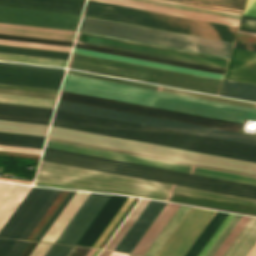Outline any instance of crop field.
Returning <instances> with one entry per match:
<instances>
[{"label":"crop field","mask_w":256,"mask_h":256,"mask_svg":"<svg viewBox=\"0 0 256 256\" xmlns=\"http://www.w3.org/2000/svg\"><path fill=\"white\" fill-rule=\"evenodd\" d=\"M68 68L216 95L219 94L222 82L74 53L71 55Z\"/></svg>","instance_id":"6"},{"label":"crop field","mask_w":256,"mask_h":256,"mask_svg":"<svg viewBox=\"0 0 256 256\" xmlns=\"http://www.w3.org/2000/svg\"><path fill=\"white\" fill-rule=\"evenodd\" d=\"M110 197L91 193L55 243L76 245Z\"/></svg>","instance_id":"15"},{"label":"crop field","mask_w":256,"mask_h":256,"mask_svg":"<svg viewBox=\"0 0 256 256\" xmlns=\"http://www.w3.org/2000/svg\"><path fill=\"white\" fill-rule=\"evenodd\" d=\"M0 60L66 67L68 61L0 54Z\"/></svg>","instance_id":"41"},{"label":"crop field","mask_w":256,"mask_h":256,"mask_svg":"<svg viewBox=\"0 0 256 256\" xmlns=\"http://www.w3.org/2000/svg\"><path fill=\"white\" fill-rule=\"evenodd\" d=\"M241 23L256 26V18H251V17L243 16Z\"/></svg>","instance_id":"63"},{"label":"crop field","mask_w":256,"mask_h":256,"mask_svg":"<svg viewBox=\"0 0 256 256\" xmlns=\"http://www.w3.org/2000/svg\"><path fill=\"white\" fill-rule=\"evenodd\" d=\"M53 189L32 187L0 231L1 238L17 239Z\"/></svg>","instance_id":"16"},{"label":"crop field","mask_w":256,"mask_h":256,"mask_svg":"<svg viewBox=\"0 0 256 256\" xmlns=\"http://www.w3.org/2000/svg\"><path fill=\"white\" fill-rule=\"evenodd\" d=\"M31 187L0 182V230Z\"/></svg>","instance_id":"23"},{"label":"crop field","mask_w":256,"mask_h":256,"mask_svg":"<svg viewBox=\"0 0 256 256\" xmlns=\"http://www.w3.org/2000/svg\"><path fill=\"white\" fill-rule=\"evenodd\" d=\"M41 160L256 199V186L249 184L47 148Z\"/></svg>","instance_id":"4"},{"label":"crop field","mask_w":256,"mask_h":256,"mask_svg":"<svg viewBox=\"0 0 256 256\" xmlns=\"http://www.w3.org/2000/svg\"><path fill=\"white\" fill-rule=\"evenodd\" d=\"M64 72L0 65V83L59 90Z\"/></svg>","instance_id":"14"},{"label":"crop field","mask_w":256,"mask_h":256,"mask_svg":"<svg viewBox=\"0 0 256 256\" xmlns=\"http://www.w3.org/2000/svg\"><path fill=\"white\" fill-rule=\"evenodd\" d=\"M85 0H0V6L81 15Z\"/></svg>","instance_id":"18"},{"label":"crop field","mask_w":256,"mask_h":256,"mask_svg":"<svg viewBox=\"0 0 256 256\" xmlns=\"http://www.w3.org/2000/svg\"><path fill=\"white\" fill-rule=\"evenodd\" d=\"M100 251H101V249H98V251L95 253L94 256H97Z\"/></svg>","instance_id":"71"},{"label":"crop field","mask_w":256,"mask_h":256,"mask_svg":"<svg viewBox=\"0 0 256 256\" xmlns=\"http://www.w3.org/2000/svg\"><path fill=\"white\" fill-rule=\"evenodd\" d=\"M250 217L242 216V218L239 220V222L236 224L234 229L231 231V233L228 235V237L225 239L223 244L220 246V248L217 250L214 256H222V254L225 252V250L228 248V246L231 244V242L234 240V238L237 236V234L240 232V230L243 228V226L246 224V222L249 220Z\"/></svg>","instance_id":"46"},{"label":"crop field","mask_w":256,"mask_h":256,"mask_svg":"<svg viewBox=\"0 0 256 256\" xmlns=\"http://www.w3.org/2000/svg\"><path fill=\"white\" fill-rule=\"evenodd\" d=\"M73 247L53 244L45 256H67Z\"/></svg>","instance_id":"53"},{"label":"crop field","mask_w":256,"mask_h":256,"mask_svg":"<svg viewBox=\"0 0 256 256\" xmlns=\"http://www.w3.org/2000/svg\"><path fill=\"white\" fill-rule=\"evenodd\" d=\"M49 126L0 120V131L45 136Z\"/></svg>","instance_id":"35"},{"label":"crop field","mask_w":256,"mask_h":256,"mask_svg":"<svg viewBox=\"0 0 256 256\" xmlns=\"http://www.w3.org/2000/svg\"><path fill=\"white\" fill-rule=\"evenodd\" d=\"M45 146L256 185V178L253 177L155 160L60 141L47 139Z\"/></svg>","instance_id":"11"},{"label":"crop field","mask_w":256,"mask_h":256,"mask_svg":"<svg viewBox=\"0 0 256 256\" xmlns=\"http://www.w3.org/2000/svg\"><path fill=\"white\" fill-rule=\"evenodd\" d=\"M0 39L72 47L73 42L0 34Z\"/></svg>","instance_id":"44"},{"label":"crop field","mask_w":256,"mask_h":256,"mask_svg":"<svg viewBox=\"0 0 256 256\" xmlns=\"http://www.w3.org/2000/svg\"><path fill=\"white\" fill-rule=\"evenodd\" d=\"M0 44L11 45V46L30 47V48H39V49H48V50H57V51H66V52H70L72 49V48H68V47L31 44V43H22V42H13V41H4V40H0Z\"/></svg>","instance_id":"48"},{"label":"crop field","mask_w":256,"mask_h":256,"mask_svg":"<svg viewBox=\"0 0 256 256\" xmlns=\"http://www.w3.org/2000/svg\"><path fill=\"white\" fill-rule=\"evenodd\" d=\"M96 1L123 5V6L133 7V8L144 9V10H150V11H155L160 13H166V14L193 18V19L209 21L214 23H220V24L236 26V27H238V24H239V21L237 20H231V19H226L221 17H215V16H210L205 14L173 9V8L156 6V5L140 3V2L130 1V0H96Z\"/></svg>","instance_id":"21"},{"label":"crop field","mask_w":256,"mask_h":256,"mask_svg":"<svg viewBox=\"0 0 256 256\" xmlns=\"http://www.w3.org/2000/svg\"><path fill=\"white\" fill-rule=\"evenodd\" d=\"M72 52L85 54V55H90V56L101 57V58H107V59H112V60H117V61H123V62H128V63H134V64H139V65H144V66H150V67H155V68H160V69H166V70H171V71H177V72H182V73H187V74L204 76V77H209V78H214V79H220V80H222L223 76H224L222 74L199 71V70H194V69L171 66V65H166V64L143 61V60H138V59L115 56V55L104 54V53L93 52V51H87V50L76 49V48H74Z\"/></svg>","instance_id":"25"},{"label":"crop field","mask_w":256,"mask_h":256,"mask_svg":"<svg viewBox=\"0 0 256 256\" xmlns=\"http://www.w3.org/2000/svg\"><path fill=\"white\" fill-rule=\"evenodd\" d=\"M225 77L256 83V52L234 48Z\"/></svg>","instance_id":"22"},{"label":"crop field","mask_w":256,"mask_h":256,"mask_svg":"<svg viewBox=\"0 0 256 256\" xmlns=\"http://www.w3.org/2000/svg\"><path fill=\"white\" fill-rule=\"evenodd\" d=\"M96 251H97V249L91 248V250L88 252V254L86 256H93Z\"/></svg>","instance_id":"68"},{"label":"crop field","mask_w":256,"mask_h":256,"mask_svg":"<svg viewBox=\"0 0 256 256\" xmlns=\"http://www.w3.org/2000/svg\"><path fill=\"white\" fill-rule=\"evenodd\" d=\"M110 256H128V254L127 253H121V252L112 251Z\"/></svg>","instance_id":"66"},{"label":"crop field","mask_w":256,"mask_h":256,"mask_svg":"<svg viewBox=\"0 0 256 256\" xmlns=\"http://www.w3.org/2000/svg\"><path fill=\"white\" fill-rule=\"evenodd\" d=\"M0 33L73 41L76 32L0 24Z\"/></svg>","instance_id":"28"},{"label":"crop field","mask_w":256,"mask_h":256,"mask_svg":"<svg viewBox=\"0 0 256 256\" xmlns=\"http://www.w3.org/2000/svg\"><path fill=\"white\" fill-rule=\"evenodd\" d=\"M79 30L227 57L230 56L233 45L231 43H225L85 16L82 17Z\"/></svg>","instance_id":"8"},{"label":"crop field","mask_w":256,"mask_h":256,"mask_svg":"<svg viewBox=\"0 0 256 256\" xmlns=\"http://www.w3.org/2000/svg\"><path fill=\"white\" fill-rule=\"evenodd\" d=\"M165 205V202L150 200L115 250L131 253Z\"/></svg>","instance_id":"17"},{"label":"crop field","mask_w":256,"mask_h":256,"mask_svg":"<svg viewBox=\"0 0 256 256\" xmlns=\"http://www.w3.org/2000/svg\"><path fill=\"white\" fill-rule=\"evenodd\" d=\"M76 41L223 69L226 68V64L228 61L226 59H220L210 56H204L194 53H188L178 50L145 45L81 32L78 33Z\"/></svg>","instance_id":"12"},{"label":"crop field","mask_w":256,"mask_h":256,"mask_svg":"<svg viewBox=\"0 0 256 256\" xmlns=\"http://www.w3.org/2000/svg\"><path fill=\"white\" fill-rule=\"evenodd\" d=\"M54 109L0 103V119L49 125Z\"/></svg>","instance_id":"19"},{"label":"crop field","mask_w":256,"mask_h":256,"mask_svg":"<svg viewBox=\"0 0 256 256\" xmlns=\"http://www.w3.org/2000/svg\"><path fill=\"white\" fill-rule=\"evenodd\" d=\"M61 192L62 190L54 189V191L51 193V195L48 197V199L45 201V203L42 205V207L39 209V211L21 233V235L18 237V239L26 240V238L29 236V234L32 232V230L35 228V226L38 224V222L41 220V218L44 216V214L47 212V210L50 208V206L53 204V202L56 200Z\"/></svg>","instance_id":"39"},{"label":"crop field","mask_w":256,"mask_h":256,"mask_svg":"<svg viewBox=\"0 0 256 256\" xmlns=\"http://www.w3.org/2000/svg\"><path fill=\"white\" fill-rule=\"evenodd\" d=\"M51 125L256 162V146L64 111H55Z\"/></svg>","instance_id":"2"},{"label":"crop field","mask_w":256,"mask_h":256,"mask_svg":"<svg viewBox=\"0 0 256 256\" xmlns=\"http://www.w3.org/2000/svg\"><path fill=\"white\" fill-rule=\"evenodd\" d=\"M135 1L146 2V3L162 5V6H167V7H173V8L183 9V10H189V11H194V12H199V13H205V14H210V15H215V16L231 18V19H237V20L240 19L239 15H233V14H228V13L216 12V11H211V10H205V9L194 8V7H188V6L177 5V4L166 3V2H160V1H155V0H135Z\"/></svg>","instance_id":"42"},{"label":"crop field","mask_w":256,"mask_h":256,"mask_svg":"<svg viewBox=\"0 0 256 256\" xmlns=\"http://www.w3.org/2000/svg\"><path fill=\"white\" fill-rule=\"evenodd\" d=\"M0 64L24 66V67H33V68H42V69H51V70H60V71H64L65 70V69H61V68H53V67H45V66H35V65H25V64H16V63H6V62H0Z\"/></svg>","instance_id":"61"},{"label":"crop field","mask_w":256,"mask_h":256,"mask_svg":"<svg viewBox=\"0 0 256 256\" xmlns=\"http://www.w3.org/2000/svg\"><path fill=\"white\" fill-rule=\"evenodd\" d=\"M25 244V241L16 240V242L13 244V246L10 248L5 256H17V254L20 252Z\"/></svg>","instance_id":"57"},{"label":"crop field","mask_w":256,"mask_h":256,"mask_svg":"<svg viewBox=\"0 0 256 256\" xmlns=\"http://www.w3.org/2000/svg\"><path fill=\"white\" fill-rule=\"evenodd\" d=\"M0 102L54 108L56 100L0 94Z\"/></svg>","instance_id":"37"},{"label":"crop field","mask_w":256,"mask_h":256,"mask_svg":"<svg viewBox=\"0 0 256 256\" xmlns=\"http://www.w3.org/2000/svg\"><path fill=\"white\" fill-rule=\"evenodd\" d=\"M159 91L180 94V95H185V96H191V97H196V98H202V99H207V100L219 101V102H224V103H230V104H235V105H240V106H245V107H250V108L256 109V104H254V103L230 100V99L214 97V96H209V95H204V94H199V93H194V92H189V91H184V90L163 87V86H161Z\"/></svg>","instance_id":"40"},{"label":"crop field","mask_w":256,"mask_h":256,"mask_svg":"<svg viewBox=\"0 0 256 256\" xmlns=\"http://www.w3.org/2000/svg\"><path fill=\"white\" fill-rule=\"evenodd\" d=\"M74 47L87 49V50H93V51H99V52H104V53H110V54H115V55L127 56V57H132V58H138V59H143V60L155 61V62H160V63H166V64H171V65L183 66V67H188V68H194V69H199V70L211 71V72H216V73H222V74H224V72H225V70H223V69H217V68H212V67H207V66H201V65L191 64V63H185V62H180V61H175V60H169V59H164V58H159V57L142 55V54H137V53H132V52H126V51H121V50H116V49H110V48L94 46V45H89V44H84V43H78V42L75 43Z\"/></svg>","instance_id":"26"},{"label":"crop field","mask_w":256,"mask_h":256,"mask_svg":"<svg viewBox=\"0 0 256 256\" xmlns=\"http://www.w3.org/2000/svg\"><path fill=\"white\" fill-rule=\"evenodd\" d=\"M161 1H167V0H161ZM167 2L178 3V2H173V1H167ZM178 4L189 5V4H184V3H178ZM189 6L200 7V6H195V5H189ZM200 8H206V7H200ZM206 9H211V8H206ZM211 10H217V9H211ZM217 11H222V10H217ZM222 12H228V11H222ZM228 13H233V12H228ZM233 14H239V13H233ZM239 15H241V14H239Z\"/></svg>","instance_id":"64"},{"label":"crop field","mask_w":256,"mask_h":256,"mask_svg":"<svg viewBox=\"0 0 256 256\" xmlns=\"http://www.w3.org/2000/svg\"><path fill=\"white\" fill-rule=\"evenodd\" d=\"M0 53L19 54V55H28V56H37V57H46V58H55V59H64V60H68L69 54H70L66 52L11 47V46H2V45H0Z\"/></svg>","instance_id":"34"},{"label":"crop field","mask_w":256,"mask_h":256,"mask_svg":"<svg viewBox=\"0 0 256 256\" xmlns=\"http://www.w3.org/2000/svg\"><path fill=\"white\" fill-rule=\"evenodd\" d=\"M179 207V204L167 203L132 253L144 255Z\"/></svg>","instance_id":"27"},{"label":"crop field","mask_w":256,"mask_h":256,"mask_svg":"<svg viewBox=\"0 0 256 256\" xmlns=\"http://www.w3.org/2000/svg\"><path fill=\"white\" fill-rule=\"evenodd\" d=\"M126 199L125 196L112 195L77 245L92 247Z\"/></svg>","instance_id":"20"},{"label":"crop field","mask_w":256,"mask_h":256,"mask_svg":"<svg viewBox=\"0 0 256 256\" xmlns=\"http://www.w3.org/2000/svg\"><path fill=\"white\" fill-rule=\"evenodd\" d=\"M66 74L79 76V77H85V78H91V79H96V80H102V81H107V82H113V83H118V84L130 85V86H135V87H141V88H146V89H152V90H157V91L159 90L158 86H152V85H147V84L119 80V79L103 77V76H98V75H92V74H87V73H81V72H76V71L68 70Z\"/></svg>","instance_id":"43"},{"label":"crop field","mask_w":256,"mask_h":256,"mask_svg":"<svg viewBox=\"0 0 256 256\" xmlns=\"http://www.w3.org/2000/svg\"><path fill=\"white\" fill-rule=\"evenodd\" d=\"M220 95L256 101V85L225 79Z\"/></svg>","instance_id":"30"},{"label":"crop field","mask_w":256,"mask_h":256,"mask_svg":"<svg viewBox=\"0 0 256 256\" xmlns=\"http://www.w3.org/2000/svg\"><path fill=\"white\" fill-rule=\"evenodd\" d=\"M52 244L38 243L29 256H44Z\"/></svg>","instance_id":"55"},{"label":"crop field","mask_w":256,"mask_h":256,"mask_svg":"<svg viewBox=\"0 0 256 256\" xmlns=\"http://www.w3.org/2000/svg\"><path fill=\"white\" fill-rule=\"evenodd\" d=\"M14 242L11 239H0V256H4Z\"/></svg>","instance_id":"58"},{"label":"crop field","mask_w":256,"mask_h":256,"mask_svg":"<svg viewBox=\"0 0 256 256\" xmlns=\"http://www.w3.org/2000/svg\"><path fill=\"white\" fill-rule=\"evenodd\" d=\"M44 138L41 136L0 132V144L2 145L42 149Z\"/></svg>","instance_id":"33"},{"label":"crop field","mask_w":256,"mask_h":256,"mask_svg":"<svg viewBox=\"0 0 256 256\" xmlns=\"http://www.w3.org/2000/svg\"><path fill=\"white\" fill-rule=\"evenodd\" d=\"M0 151L27 153V154H36V155H40V152H41V150H38V149H29V148H20V147H11V146H2V145H0Z\"/></svg>","instance_id":"54"},{"label":"crop field","mask_w":256,"mask_h":256,"mask_svg":"<svg viewBox=\"0 0 256 256\" xmlns=\"http://www.w3.org/2000/svg\"><path fill=\"white\" fill-rule=\"evenodd\" d=\"M247 256H256V244L254 245V247L251 249Z\"/></svg>","instance_id":"67"},{"label":"crop field","mask_w":256,"mask_h":256,"mask_svg":"<svg viewBox=\"0 0 256 256\" xmlns=\"http://www.w3.org/2000/svg\"><path fill=\"white\" fill-rule=\"evenodd\" d=\"M206 4L218 5L243 10L245 0H190Z\"/></svg>","instance_id":"50"},{"label":"crop field","mask_w":256,"mask_h":256,"mask_svg":"<svg viewBox=\"0 0 256 256\" xmlns=\"http://www.w3.org/2000/svg\"><path fill=\"white\" fill-rule=\"evenodd\" d=\"M89 195L90 193L88 192L77 191L62 210L60 215L57 217L52 226L49 228L47 233L41 239V241L54 243V241L57 239V237L60 235V233L63 231V229L66 227V225L69 223V221L72 219V217L75 215V213L78 211V209Z\"/></svg>","instance_id":"24"},{"label":"crop field","mask_w":256,"mask_h":256,"mask_svg":"<svg viewBox=\"0 0 256 256\" xmlns=\"http://www.w3.org/2000/svg\"><path fill=\"white\" fill-rule=\"evenodd\" d=\"M189 209V206L181 205V207L178 209V211L175 213V215L172 217V219L148 249V251L145 253L146 256H155L158 253V251L161 249L163 244L169 238L171 233L174 231L176 226L179 224Z\"/></svg>","instance_id":"32"},{"label":"crop field","mask_w":256,"mask_h":256,"mask_svg":"<svg viewBox=\"0 0 256 256\" xmlns=\"http://www.w3.org/2000/svg\"><path fill=\"white\" fill-rule=\"evenodd\" d=\"M77 192V191H76ZM75 193V191H70L69 194L66 196V198L63 200V202L60 204V206L57 208V210L54 212V214L50 217V219L47 221V223L44 225V227L41 229V231L38 233L36 238L34 240L40 241V239L43 237V235L46 233L48 228L51 226V224L54 222L56 217L59 215L61 210L64 208V206L67 204L69 199L72 197V195ZM74 196V195H73ZM71 200V199H70Z\"/></svg>","instance_id":"49"},{"label":"crop field","mask_w":256,"mask_h":256,"mask_svg":"<svg viewBox=\"0 0 256 256\" xmlns=\"http://www.w3.org/2000/svg\"><path fill=\"white\" fill-rule=\"evenodd\" d=\"M140 201V200H139ZM149 202V200L141 199V201L138 203V205L135 207V209L132 211V213L129 215V217L126 219L124 224L121 226V228L118 230V232L115 234V236L112 238V240L109 242V244L106 246L107 249H112L117 246V244L120 242L122 237L125 235V233L128 231L130 226L133 224L135 219L138 217V215L141 213L143 208L146 206V204Z\"/></svg>","instance_id":"38"},{"label":"crop field","mask_w":256,"mask_h":256,"mask_svg":"<svg viewBox=\"0 0 256 256\" xmlns=\"http://www.w3.org/2000/svg\"><path fill=\"white\" fill-rule=\"evenodd\" d=\"M35 185L169 200L256 216V200L41 161Z\"/></svg>","instance_id":"1"},{"label":"crop field","mask_w":256,"mask_h":256,"mask_svg":"<svg viewBox=\"0 0 256 256\" xmlns=\"http://www.w3.org/2000/svg\"><path fill=\"white\" fill-rule=\"evenodd\" d=\"M134 200L132 197H128V199L125 201V203L122 205L120 210L117 212V214L114 216L112 221L109 223L107 228L104 230V232L101 234L99 239L96 241V243L93 245V247H99V245L102 243V241L105 239V237L108 235V233L111 231V229L114 227L116 222L119 220V218L122 216V214L125 212V210L128 208V206L131 204V202Z\"/></svg>","instance_id":"47"},{"label":"crop field","mask_w":256,"mask_h":256,"mask_svg":"<svg viewBox=\"0 0 256 256\" xmlns=\"http://www.w3.org/2000/svg\"><path fill=\"white\" fill-rule=\"evenodd\" d=\"M236 48H241V49H247V50H252V51H256V45L255 44H249V43H244V42H235V46Z\"/></svg>","instance_id":"62"},{"label":"crop field","mask_w":256,"mask_h":256,"mask_svg":"<svg viewBox=\"0 0 256 256\" xmlns=\"http://www.w3.org/2000/svg\"><path fill=\"white\" fill-rule=\"evenodd\" d=\"M58 110H64L69 112H75L80 114H86L91 116H97L102 118H108L113 120H119L124 122H130L135 124H141L146 126L158 127L163 129H169L174 131H180L185 133H191L196 135H202L207 137H213L218 139H224L229 141H235L240 143H246L256 145V136L228 132L223 130L211 129L206 127H200L195 125H189L184 123H178L173 121L161 120L156 118H150L145 116H139L134 114L122 113L117 111H111L106 109H100L95 107H89L84 105L72 104L67 102H58Z\"/></svg>","instance_id":"9"},{"label":"crop field","mask_w":256,"mask_h":256,"mask_svg":"<svg viewBox=\"0 0 256 256\" xmlns=\"http://www.w3.org/2000/svg\"><path fill=\"white\" fill-rule=\"evenodd\" d=\"M111 253V251L103 250V252L100 254V256H108Z\"/></svg>","instance_id":"69"},{"label":"crop field","mask_w":256,"mask_h":256,"mask_svg":"<svg viewBox=\"0 0 256 256\" xmlns=\"http://www.w3.org/2000/svg\"><path fill=\"white\" fill-rule=\"evenodd\" d=\"M81 16L0 7V23L76 31Z\"/></svg>","instance_id":"13"},{"label":"crop field","mask_w":256,"mask_h":256,"mask_svg":"<svg viewBox=\"0 0 256 256\" xmlns=\"http://www.w3.org/2000/svg\"><path fill=\"white\" fill-rule=\"evenodd\" d=\"M83 15L231 42L238 29L90 0L87 1Z\"/></svg>","instance_id":"5"},{"label":"crop field","mask_w":256,"mask_h":256,"mask_svg":"<svg viewBox=\"0 0 256 256\" xmlns=\"http://www.w3.org/2000/svg\"><path fill=\"white\" fill-rule=\"evenodd\" d=\"M243 15L256 17V0H247Z\"/></svg>","instance_id":"56"},{"label":"crop field","mask_w":256,"mask_h":256,"mask_svg":"<svg viewBox=\"0 0 256 256\" xmlns=\"http://www.w3.org/2000/svg\"><path fill=\"white\" fill-rule=\"evenodd\" d=\"M36 245V242H27V244L24 246L18 256H28Z\"/></svg>","instance_id":"59"},{"label":"crop field","mask_w":256,"mask_h":256,"mask_svg":"<svg viewBox=\"0 0 256 256\" xmlns=\"http://www.w3.org/2000/svg\"><path fill=\"white\" fill-rule=\"evenodd\" d=\"M238 33H240V34H246V35L256 36V34H253V33H247V32H241V31H239Z\"/></svg>","instance_id":"70"},{"label":"crop field","mask_w":256,"mask_h":256,"mask_svg":"<svg viewBox=\"0 0 256 256\" xmlns=\"http://www.w3.org/2000/svg\"><path fill=\"white\" fill-rule=\"evenodd\" d=\"M48 136L256 174V163L247 161L53 126L50 127Z\"/></svg>","instance_id":"7"},{"label":"crop field","mask_w":256,"mask_h":256,"mask_svg":"<svg viewBox=\"0 0 256 256\" xmlns=\"http://www.w3.org/2000/svg\"><path fill=\"white\" fill-rule=\"evenodd\" d=\"M240 218L241 216L235 215V217L232 219V221L229 223V225L226 227V229L223 231V233L220 235V237L217 239V241L214 243V245L205 256H213V254L216 252V250L219 248V246L222 244L224 239L227 237V235L230 233V231Z\"/></svg>","instance_id":"51"},{"label":"crop field","mask_w":256,"mask_h":256,"mask_svg":"<svg viewBox=\"0 0 256 256\" xmlns=\"http://www.w3.org/2000/svg\"><path fill=\"white\" fill-rule=\"evenodd\" d=\"M228 214L216 212L200 236L184 256H197Z\"/></svg>","instance_id":"31"},{"label":"crop field","mask_w":256,"mask_h":256,"mask_svg":"<svg viewBox=\"0 0 256 256\" xmlns=\"http://www.w3.org/2000/svg\"><path fill=\"white\" fill-rule=\"evenodd\" d=\"M239 30L256 33V29L248 28V27H242V26H240Z\"/></svg>","instance_id":"65"},{"label":"crop field","mask_w":256,"mask_h":256,"mask_svg":"<svg viewBox=\"0 0 256 256\" xmlns=\"http://www.w3.org/2000/svg\"><path fill=\"white\" fill-rule=\"evenodd\" d=\"M256 243V218L251 217L223 256H246Z\"/></svg>","instance_id":"29"},{"label":"crop field","mask_w":256,"mask_h":256,"mask_svg":"<svg viewBox=\"0 0 256 256\" xmlns=\"http://www.w3.org/2000/svg\"><path fill=\"white\" fill-rule=\"evenodd\" d=\"M48 138L49 139L60 140V141H65V142L81 144V145L98 147V148H103V149H108V150H114V151H119V152H124V153H130V154H135V155H141V156H146V157H151V158H157V159H162V160H167V161H173V162H178V163H184V164H189V165H194V166H200V167H205V168H210V169H216V170L227 171V172H232V173H237V174H243V175H248V176L256 177V175L248 174V173H242V172H237V171H231V170H226V169H220V168H215V167H209V166H204V165H198V164H193V163H187V162H182V161H176V160H171V159L154 157V156H149V155H144V154H138V153H133V152H127V151H122V150H116V149L105 148V147H100V146H94V145H89V144H83V143H78V142H72V141H67V140H61V139H56V138H50V137H48Z\"/></svg>","instance_id":"45"},{"label":"crop field","mask_w":256,"mask_h":256,"mask_svg":"<svg viewBox=\"0 0 256 256\" xmlns=\"http://www.w3.org/2000/svg\"><path fill=\"white\" fill-rule=\"evenodd\" d=\"M0 93L56 99L59 91L0 84Z\"/></svg>","instance_id":"36"},{"label":"crop field","mask_w":256,"mask_h":256,"mask_svg":"<svg viewBox=\"0 0 256 256\" xmlns=\"http://www.w3.org/2000/svg\"><path fill=\"white\" fill-rule=\"evenodd\" d=\"M233 217L234 215L232 214L228 215V217L225 219V221L222 223L219 229L215 232V234L212 236V238L209 240V242L202 249V251L199 253L198 256H204L207 253V251L210 249V247L213 245V243L216 241V239L219 237V235L222 233V231L225 229V227L228 225V223L231 221Z\"/></svg>","instance_id":"52"},{"label":"crop field","mask_w":256,"mask_h":256,"mask_svg":"<svg viewBox=\"0 0 256 256\" xmlns=\"http://www.w3.org/2000/svg\"><path fill=\"white\" fill-rule=\"evenodd\" d=\"M63 91L152 106L242 123L256 120V110L107 82L65 76Z\"/></svg>","instance_id":"3"},{"label":"crop field","mask_w":256,"mask_h":256,"mask_svg":"<svg viewBox=\"0 0 256 256\" xmlns=\"http://www.w3.org/2000/svg\"><path fill=\"white\" fill-rule=\"evenodd\" d=\"M59 100L78 103V104H84L89 106H95L100 108L112 109L117 111H123L128 113H134L139 115L151 116L156 118H162L167 120L179 121L184 123H190L195 125H201L206 127L218 128L223 130H229L234 132H238L242 125L240 123H234L229 121H223V120L190 115L185 113H179L174 111H168L163 109L151 108L146 106H140L135 104H129L124 102H118V101L107 100V99L96 98L91 96L63 92V91H61L60 93Z\"/></svg>","instance_id":"10"},{"label":"crop field","mask_w":256,"mask_h":256,"mask_svg":"<svg viewBox=\"0 0 256 256\" xmlns=\"http://www.w3.org/2000/svg\"><path fill=\"white\" fill-rule=\"evenodd\" d=\"M90 248L74 247L69 256H85Z\"/></svg>","instance_id":"60"}]
</instances>
